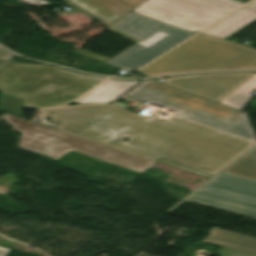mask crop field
I'll list each match as a JSON object with an SVG mask.
<instances>
[{
    "label": "crop field",
    "mask_w": 256,
    "mask_h": 256,
    "mask_svg": "<svg viewBox=\"0 0 256 256\" xmlns=\"http://www.w3.org/2000/svg\"><path fill=\"white\" fill-rule=\"evenodd\" d=\"M109 104L71 105L42 112L63 122L58 130L207 179L255 144L178 116L153 114L147 118ZM123 137L131 139L125 142Z\"/></svg>",
    "instance_id": "crop-field-1"
},
{
    "label": "crop field",
    "mask_w": 256,
    "mask_h": 256,
    "mask_svg": "<svg viewBox=\"0 0 256 256\" xmlns=\"http://www.w3.org/2000/svg\"><path fill=\"white\" fill-rule=\"evenodd\" d=\"M103 79L46 64L10 62L0 72V92L23 99V108H40L72 103Z\"/></svg>",
    "instance_id": "crop-field-2"
},
{
    "label": "crop field",
    "mask_w": 256,
    "mask_h": 256,
    "mask_svg": "<svg viewBox=\"0 0 256 256\" xmlns=\"http://www.w3.org/2000/svg\"><path fill=\"white\" fill-rule=\"evenodd\" d=\"M256 69V49L198 34L137 73Z\"/></svg>",
    "instance_id": "crop-field-3"
},
{
    "label": "crop field",
    "mask_w": 256,
    "mask_h": 256,
    "mask_svg": "<svg viewBox=\"0 0 256 256\" xmlns=\"http://www.w3.org/2000/svg\"><path fill=\"white\" fill-rule=\"evenodd\" d=\"M126 97L168 107L176 111L175 114L256 141L247 115L243 111L176 88L147 80Z\"/></svg>",
    "instance_id": "crop-field-4"
},
{
    "label": "crop field",
    "mask_w": 256,
    "mask_h": 256,
    "mask_svg": "<svg viewBox=\"0 0 256 256\" xmlns=\"http://www.w3.org/2000/svg\"><path fill=\"white\" fill-rule=\"evenodd\" d=\"M107 29L137 44L112 60L81 49L75 52L119 68L137 69L195 34L132 12Z\"/></svg>",
    "instance_id": "crop-field-5"
},
{
    "label": "crop field",
    "mask_w": 256,
    "mask_h": 256,
    "mask_svg": "<svg viewBox=\"0 0 256 256\" xmlns=\"http://www.w3.org/2000/svg\"><path fill=\"white\" fill-rule=\"evenodd\" d=\"M19 147L60 158L71 150L142 173L153 161L26 120Z\"/></svg>",
    "instance_id": "crop-field-6"
},
{
    "label": "crop field",
    "mask_w": 256,
    "mask_h": 256,
    "mask_svg": "<svg viewBox=\"0 0 256 256\" xmlns=\"http://www.w3.org/2000/svg\"><path fill=\"white\" fill-rule=\"evenodd\" d=\"M242 4L234 0H147L133 11L198 32Z\"/></svg>",
    "instance_id": "crop-field-7"
},
{
    "label": "crop field",
    "mask_w": 256,
    "mask_h": 256,
    "mask_svg": "<svg viewBox=\"0 0 256 256\" xmlns=\"http://www.w3.org/2000/svg\"><path fill=\"white\" fill-rule=\"evenodd\" d=\"M254 73L169 77L163 83L218 102Z\"/></svg>",
    "instance_id": "crop-field-8"
},
{
    "label": "crop field",
    "mask_w": 256,
    "mask_h": 256,
    "mask_svg": "<svg viewBox=\"0 0 256 256\" xmlns=\"http://www.w3.org/2000/svg\"><path fill=\"white\" fill-rule=\"evenodd\" d=\"M185 201L256 219V201L201 188Z\"/></svg>",
    "instance_id": "crop-field-9"
},
{
    "label": "crop field",
    "mask_w": 256,
    "mask_h": 256,
    "mask_svg": "<svg viewBox=\"0 0 256 256\" xmlns=\"http://www.w3.org/2000/svg\"><path fill=\"white\" fill-rule=\"evenodd\" d=\"M67 6L80 11L109 27L133 8L119 0H63Z\"/></svg>",
    "instance_id": "crop-field-10"
},
{
    "label": "crop field",
    "mask_w": 256,
    "mask_h": 256,
    "mask_svg": "<svg viewBox=\"0 0 256 256\" xmlns=\"http://www.w3.org/2000/svg\"><path fill=\"white\" fill-rule=\"evenodd\" d=\"M203 243L256 256V238L213 227Z\"/></svg>",
    "instance_id": "crop-field-11"
},
{
    "label": "crop field",
    "mask_w": 256,
    "mask_h": 256,
    "mask_svg": "<svg viewBox=\"0 0 256 256\" xmlns=\"http://www.w3.org/2000/svg\"><path fill=\"white\" fill-rule=\"evenodd\" d=\"M256 21V11L240 8L201 34L226 39Z\"/></svg>",
    "instance_id": "crop-field-12"
},
{
    "label": "crop field",
    "mask_w": 256,
    "mask_h": 256,
    "mask_svg": "<svg viewBox=\"0 0 256 256\" xmlns=\"http://www.w3.org/2000/svg\"><path fill=\"white\" fill-rule=\"evenodd\" d=\"M204 188L256 200V182L220 173Z\"/></svg>",
    "instance_id": "crop-field-13"
},
{
    "label": "crop field",
    "mask_w": 256,
    "mask_h": 256,
    "mask_svg": "<svg viewBox=\"0 0 256 256\" xmlns=\"http://www.w3.org/2000/svg\"><path fill=\"white\" fill-rule=\"evenodd\" d=\"M138 82L140 81H123L109 78L76 103L113 102Z\"/></svg>",
    "instance_id": "crop-field-14"
},
{
    "label": "crop field",
    "mask_w": 256,
    "mask_h": 256,
    "mask_svg": "<svg viewBox=\"0 0 256 256\" xmlns=\"http://www.w3.org/2000/svg\"><path fill=\"white\" fill-rule=\"evenodd\" d=\"M256 88V74L228 94L219 103L242 110L254 96L250 94Z\"/></svg>",
    "instance_id": "crop-field-15"
},
{
    "label": "crop field",
    "mask_w": 256,
    "mask_h": 256,
    "mask_svg": "<svg viewBox=\"0 0 256 256\" xmlns=\"http://www.w3.org/2000/svg\"><path fill=\"white\" fill-rule=\"evenodd\" d=\"M222 173L256 181V147Z\"/></svg>",
    "instance_id": "crop-field-16"
},
{
    "label": "crop field",
    "mask_w": 256,
    "mask_h": 256,
    "mask_svg": "<svg viewBox=\"0 0 256 256\" xmlns=\"http://www.w3.org/2000/svg\"><path fill=\"white\" fill-rule=\"evenodd\" d=\"M22 100L0 93V110L21 117Z\"/></svg>",
    "instance_id": "crop-field-17"
},
{
    "label": "crop field",
    "mask_w": 256,
    "mask_h": 256,
    "mask_svg": "<svg viewBox=\"0 0 256 256\" xmlns=\"http://www.w3.org/2000/svg\"><path fill=\"white\" fill-rule=\"evenodd\" d=\"M1 119L6 120L8 125H11L15 129L22 131L24 119H20V118H17V117L8 115V114H4V116Z\"/></svg>",
    "instance_id": "crop-field-18"
},
{
    "label": "crop field",
    "mask_w": 256,
    "mask_h": 256,
    "mask_svg": "<svg viewBox=\"0 0 256 256\" xmlns=\"http://www.w3.org/2000/svg\"><path fill=\"white\" fill-rule=\"evenodd\" d=\"M219 253H220V256H249V255L237 253V252L222 249V248H220Z\"/></svg>",
    "instance_id": "crop-field-19"
},
{
    "label": "crop field",
    "mask_w": 256,
    "mask_h": 256,
    "mask_svg": "<svg viewBox=\"0 0 256 256\" xmlns=\"http://www.w3.org/2000/svg\"><path fill=\"white\" fill-rule=\"evenodd\" d=\"M134 8L138 7L140 4H142L146 0H120Z\"/></svg>",
    "instance_id": "crop-field-20"
},
{
    "label": "crop field",
    "mask_w": 256,
    "mask_h": 256,
    "mask_svg": "<svg viewBox=\"0 0 256 256\" xmlns=\"http://www.w3.org/2000/svg\"><path fill=\"white\" fill-rule=\"evenodd\" d=\"M7 50V49H6ZM2 47H0V59H6L9 60L12 57V53L6 51Z\"/></svg>",
    "instance_id": "crop-field-21"
},
{
    "label": "crop field",
    "mask_w": 256,
    "mask_h": 256,
    "mask_svg": "<svg viewBox=\"0 0 256 256\" xmlns=\"http://www.w3.org/2000/svg\"><path fill=\"white\" fill-rule=\"evenodd\" d=\"M244 7L256 10V0L251 1L250 3H248L247 5H245Z\"/></svg>",
    "instance_id": "crop-field-22"
},
{
    "label": "crop field",
    "mask_w": 256,
    "mask_h": 256,
    "mask_svg": "<svg viewBox=\"0 0 256 256\" xmlns=\"http://www.w3.org/2000/svg\"><path fill=\"white\" fill-rule=\"evenodd\" d=\"M9 251V249L0 248V256H6Z\"/></svg>",
    "instance_id": "crop-field-23"
},
{
    "label": "crop field",
    "mask_w": 256,
    "mask_h": 256,
    "mask_svg": "<svg viewBox=\"0 0 256 256\" xmlns=\"http://www.w3.org/2000/svg\"><path fill=\"white\" fill-rule=\"evenodd\" d=\"M111 105H114V106H117V107H120V108H123V109H126L128 110L130 107H127V106H124V105H121V104H118V103H115L113 102Z\"/></svg>",
    "instance_id": "crop-field-24"
},
{
    "label": "crop field",
    "mask_w": 256,
    "mask_h": 256,
    "mask_svg": "<svg viewBox=\"0 0 256 256\" xmlns=\"http://www.w3.org/2000/svg\"><path fill=\"white\" fill-rule=\"evenodd\" d=\"M9 188L1 187L0 186V193L5 194L7 191H9Z\"/></svg>",
    "instance_id": "crop-field-25"
},
{
    "label": "crop field",
    "mask_w": 256,
    "mask_h": 256,
    "mask_svg": "<svg viewBox=\"0 0 256 256\" xmlns=\"http://www.w3.org/2000/svg\"><path fill=\"white\" fill-rule=\"evenodd\" d=\"M8 62L0 61V70L7 64Z\"/></svg>",
    "instance_id": "crop-field-26"
}]
</instances>
